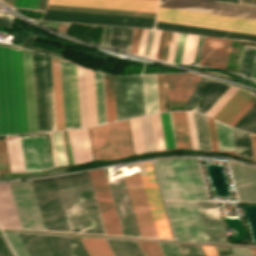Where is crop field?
<instances>
[{"instance_id": "obj_1", "label": "crop field", "mask_w": 256, "mask_h": 256, "mask_svg": "<svg viewBox=\"0 0 256 256\" xmlns=\"http://www.w3.org/2000/svg\"><path fill=\"white\" fill-rule=\"evenodd\" d=\"M27 133L20 50L0 45V135Z\"/></svg>"}, {"instance_id": "obj_2", "label": "crop field", "mask_w": 256, "mask_h": 256, "mask_svg": "<svg viewBox=\"0 0 256 256\" xmlns=\"http://www.w3.org/2000/svg\"><path fill=\"white\" fill-rule=\"evenodd\" d=\"M55 179L69 230L106 234L89 173L73 174Z\"/></svg>"}, {"instance_id": "obj_3", "label": "crop field", "mask_w": 256, "mask_h": 256, "mask_svg": "<svg viewBox=\"0 0 256 256\" xmlns=\"http://www.w3.org/2000/svg\"><path fill=\"white\" fill-rule=\"evenodd\" d=\"M135 216L142 236L158 237L138 175L125 178ZM124 180L109 182V188L123 235L141 236Z\"/></svg>"}, {"instance_id": "obj_4", "label": "crop field", "mask_w": 256, "mask_h": 256, "mask_svg": "<svg viewBox=\"0 0 256 256\" xmlns=\"http://www.w3.org/2000/svg\"><path fill=\"white\" fill-rule=\"evenodd\" d=\"M89 130L95 161L123 159L133 155L126 120Z\"/></svg>"}, {"instance_id": "obj_5", "label": "crop field", "mask_w": 256, "mask_h": 256, "mask_svg": "<svg viewBox=\"0 0 256 256\" xmlns=\"http://www.w3.org/2000/svg\"><path fill=\"white\" fill-rule=\"evenodd\" d=\"M156 20L256 34V20L159 7Z\"/></svg>"}, {"instance_id": "obj_6", "label": "crop field", "mask_w": 256, "mask_h": 256, "mask_svg": "<svg viewBox=\"0 0 256 256\" xmlns=\"http://www.w3.org/2000/svg\"><path fill=\"white\" fill-rule=\"evenodd\" d=\"M165 202L176 239L207 242L195 202Z\"/></svg>"}, {"instance_id": "obj_7", "label": "crop field", "mask_w": 256, "mask_h": 256, "mask_svg": "<svg viewBox=\"0 0 256 256\" xmlns=\"http://www.w3.org/2000/svg\"><path fill=\"white\" fill-rule=\"evenodd\" d=\"M113 81L117 121L145 114L142 76H113Z\"/></svg>"}, {"instance_id": "obj_8", "label": "crop field", "mask_w": 256, "mask_h": 256, "mask_svg": "<svg viewBox=\"0 0 256 256\" xmlns=\"http://www.w3.org/2000/svg\"><path fill=\"white\" fill-rule=\"evenodd\" d=\"M159 6L256 19V7L212 0H160Z\"/></svg>"}, {"instance_id": "obj_9", "label": "crop field", "mask_w": 256, "mask_h": 256, "mask_svg": "<svg viewBox=\"0 0 256 256\" xmlns=\"http://www.w3.org/2000/svg\"><path fill=\"white\" fill-rule=\"evenodd\" d=\"M22 228L44 230L30 181L9 183Z\"/></svg>"}, {"instance_id": "obj_10", "label": "crop field", "mask_w": 256, "mask_h": 256, "mask_svg": "<svg viewBox=\"0 0 256 256\" xmlns=\"http://www.w3.org/2000/svg\"><path fill=\"white\" fill-rule=\"evenodd\" d=\"M90 177L107 234L122 235L104 170L91 171Z\"/></svg>"}, {"instance_id": "obj_11", "label": "crop field", "mask_w": 256, "mask_h": 256, "mask_svg": "<svg viewBox=\"0 0 256 256\" xmlns=\"http://www.w3.org/2000/svg\"><path fill=\"white\" fill-rule=\"evenodd\" d=\"M38 132L50 131L44 55L33 53Z\"/></svg>"}, {"instance_id": "obj_12", "label": "crop field", "mask_w": 256, "mask_h": 256, "mask_svg": "<svg viewBox=\"0 0 256 256\" xmlns=\"http://www.w3.org/2000/svg\"><path fill=\"white\" fill-rule=\"evenodd\" d=\"M144 165L147 175L141 176V179L150 205L158 236L164 238H172L152 170L151 162H144Z\"/></svg>"}, {"instance_id": "obj_13", "label": "crop field", "mask_w": 256, "mask_h": 256, "mask_svg": "<svg viewBox=\"0 0 256 256\" xmlns=\"http://www.w3.org/2000/svg\"><path fill=\"white\" fill-rule=\"evenodd\" d=\"M73 128L87 127L83 68L68 63Z\"/></svg>"}, {"instance_id": "obj_14", "label": "crop field", "mask_w": 256, "mask_h": 256, "mask_svg": "<svg viewBox=\"0 0 256 256\" xmlns=\"http://www.w3.org/2000/svg\"><path fill=\"white\" fill-rule=\"evenodd\" d=\"M158 0H49L48 4L156 12Z\"/></svg>"}, {"instance_id": "obj_15", "label": "crop field", "mask_w": 256, "mask_h": 256, "mask_svg": "<svg viewBox=\"0 0 256 256\" xmlns=\"http://www.w3.org/2000/svg\"><path fill=\"white\" fill-rule=\"evenodd\" d=\"M229 163L239 202H256V167L233 161Z\"/></svg>"}, {"instance_id": "obj_16", "label": "crop field", "mask_w": 256, "mask_h": 256, "mask_svg": "<svg viewBox=\"0 0 256 256\" xmlns=\"http://www.w3.org/2000/svg\"><path fill=\"white\" fill-rule=\"evenodd\" d=\"M208 242L228 243L216 202H196Z\"/></svg>"}, {"instance_id": "obj_17", "label": "crop field", "mask_w": 256, "mask_h": 256, "mask_svg": "<svg viewBox=\"0 0 256 256\" xmlns=\"http://www.w3.org/2000/svg\"><path fill=\"white\" fill-rule=\"evenodd\" d=\"M28 133L37 132L31 52L21 50Z\"/></svg>"}, {"instance_id": "obj_18", "label": "crop field", "mask_w": 256, "mask_h": 256, "mask_svg": "<svg viewBox=\"0 0 256 256\" xmlns=\"http://www.w3.org/2000/svg\"><path fill=\"white\" fill-rule=\"evenodd\" d=\"M200 76L190 73L163 75L167 100L187 101Z\"/></svg>"}, {"instance_id": "obj_19", "label": "crop field", "mask_w": 256, "mask_h": 256, "mask_svg": "<svg viewBox=\"0 0 256 256\" xmlns=\"http://www.w3.org/2000/svg\"><path fill=\"white\" fill-rule=\"evenodd\" d=\"M156 151L176 149L170 112L150 115Z\"/></svg>"}, {"instance_id": "obj_20", "label": "crop field", "mask_w": 256, "mask_h": 256, "mask_svg": "<svg viewBox=\"0 0 256 256\" xmlns=\"http://www.w3.org/2000/svg\"><path fill=\"white\" fill-rule=\"evenodd\" d=\"M231 41L205 37L199 65L225 69Z\"/></svg>"}, {"instance_id": "obj_21", "label": "crop field", "mask_w": 256, "mask_h": 256, "mask_svg": "<svg viewBox=\"0 0 256 256\" xmlns=\"http://www.w3.org/2000/svg\"><path fill=\"white\" fill-rule=\"evenodd\" d=\"M155 28L173 30V31H179V32H186V33H193V34H200V35H207V36H214V37H221V38L234 39V40H241V41H248V42H255L256 43V35H250V34L229 32V31H222V30H215V29H208V28H201V27H194V26H187V25H180V24H173V23H166V22H159V21H156Z\"/></svg>"}, {"instance_id": "obj_22", "label": "crop field", "mask_w": 256, "mask_h": 256, "mask_svg": "<svg viewBox=\"0 0 256 256\" xmlns=\"http://www.w3.org/2000/svg\"><path fill=\"white\" fill-rule=\"evenodd\" d=\"M160 187L165 199L181 200L170 159L154 161Z\"/></svg>"}, {"instance_id": "obj_23", "label": "crop field", "mask_w": 256, "mask_h": 256, "mask_svg": "<svg viewBox=\"0 0 256 256\" xmlns=\"http://www.w3.org/2000/svg\"><path fill=\"white\" fill-rule=\"evenodd\" d=\"M0 226L21 228L8 183L0 184Z\"/></svg>"}, {"instance_id": "obj_24", "label": "crop field", "mask_w": 256, "mask_h": 256, "mask_svg": "<svg viewBox=\"0 0 256 256\" xmlns=\"http://www.w3.org/2000/svg\"><path fill=\"white\" fill-rule=\"evenodd\" d=\"M134 28L106 26L102 44L128 52Z\"/></svg>"}, {"instance_id": "obj_25", "label": "crop field", "mask_w": 256, "mask_h": 256, "mask_svg": "<svg viewBox=\"0 0 256 256\" xmlns=\"http://www.w3.org/2000/svg\"><path fill=\"white\" fill-rule=\"evenodd\" d=\"M252 96L250 93L238 89L213 118L227 124Z\"/></svg>"}, {"instance_id": "obj_26", "label": "crop field", "mask_w": 256, "mask_h": 256, "mask_svg": "<svg viewBox=\"0 0 256 256\" xmlns=\"http://www.w3.org/2000/svg\"><path fill=\"white\" fill-rule=\"evenodd\" d=\"M56 130L64 129L59 60L51 57Z\"/></svg>"}, {"instance_id": "obj_27", "label": "crop field", "mask_w": 256, "mask_h": 256, "mask_svg": "<svg viewBox=\"0 0 256 256\" xmlns=\"http://www.w3.org/2000/svg\"><path fill=\"white\" fill-rule=\"evenodd\" d=\"M182 200H195L183 158L171 159Z\"/></svg>"}, {"instance_id": "obj_28", "label": "crop field", "mask_w": 256, "mask_h": 256, "mask_svg": "<svg viewBox=\"0 0 256 256\" xmlns=\"http://www.w3.org/2000/svg\"><path fill=\"white\" fill-rule=\"evenodd\" d=\"M77 162L83 163L93 159L87 128L72 130Z\"/></svg>"}, {"instance_id": "obj_29", "label": "crop field", "mask_w": 256, "mask_h": 256, "mask_svg": "<svg viewBox=\"0 0 256 256\" xmlns=\"http://www.w3.org/2000/svg\"><path fill=\"white\" fill-rule=\"evenodd\" d=\"M177 148H191L185 112H171Z\"/></svg>"}, {"instance_id": "obj_30", "label": "crop field", "mask_w": 256, "mask_h": 256, "mask_svg": "<svg viewBox=\"0 0 256 256\" xmlns=\"http://www.w3.org/2000/svg\"><path fill=\"white\" fill-rule=\"evenodd\" d=\"M88 126L97 125L93 72L84 68Z\"/></svg>"}, {"instance_id": "obj_31", "label": "crop field", "mask_w": 256, "mask_h": 256, "mask_svg": "<svg viewBox=\"0 0 256 256\" xmlns=\"http://www.w3.org/2000/svg\"><path fill=\"white\" fill-rule=\"evenodd\" d=\"M146 114L159 111L156 75L143 76Z\"/></svg>"}, {"instance_id": "obj_32", "label": "crop field", "mask_w": 256, "mask_h": 256, "mask_svg": "<svg viewBox=\"0 0 256 256\" xmlns=\"http://www.w3.org/2000/svg\"><path fill=\"white\" fill-rule=\"evenodd\" d=\"M20 139L26 171L40 170L34 136L20 137Z\"/></svg>"}, {"instance_id": "obj_33", "label": "crop field", "mask_w": 256, "mask_h": 256, "mask_svg": "<svg viewBox=\"0 0 256 256\" xmlns=\"http://www.w3.org/2000/svg\"><path fill=\"white\" fill-rule=\"evenodd\" d=\"M65 129L72 128L67 62L60 60Z\"/></svg>"}, {"instance_id": "obj_34", "label": "crop field", "mask_w": 256, "mask_h": 256, "mask_svg": "<svg viewBox=\"0 0 256 256\" xmlns=\"http://www.w3.org/2000/svg\"><path fill=\"white\" fill-rule=\"evenodd\" d=\"M11 173L25 172L19 138L6 139Z\"/></svg>"}, {"instance_id": "obj_35", "label": "crop field", "mask_w": 256, "mask_h": 256, "mask_svg": "<svg viewBox=\"0 0 256 256\" xmlns=\"http://www.w3.org/2000/svg\"><path fill=\"white\" fill-rule=\"evenodd\" d=\"M115 256H143L136 241L106 239Z\"/></svg>"}, {"instance_id": "obj_36", "label": "crop field", "mask_w": 256, "mask_h": 256, "mask_svg": "<svg viewBox=\"0 0 256 256\" xmlns=\"http://www.w3.org/2000/svg\"><path fill=\"white\" fill-rule=\"evenodd\" d=\"M199 149L211 150L206 117L192 111Z\"/></svg>"}, {"instance_id": "obj_37", "label": "crop field", "mask_w": 256, "mask_h": 256, "mask_svg": "<svg viewBox=\"0 0 256 256\" xmlns=\"http://www.w3.org/2000/svg\"><path fill=\"white\" fill-rule=\"evenodd\" d=\"M196 200H207L194 158H184Z\"/></svg>"}, {"instance_id": "obj_38", "label": "crop field", "mask_w": 256, "mask_h": 256, "mask_svg": "<svg viewBox=\"0 0 256 256\" xmlns=\"http://www.w3.org/2000/svg\"><path fill=\"white\" fill-rule=\"evenodd\" d=\"M47 9L155 17L156 13L48 5Z\"/></svg>"}, {"instance_id": "obj_39", "label": "crop field", "mask_w": 256, "mask_h": 256, "mask_svg": "<svg viewBox=\"0 0 256 256\" xmlns=\"http://www.w3.org/2000/svg\"><path fill=\"white\" fill-rule=\"evenodd\" d=\"M54 166L67 164L62 131L49 133Z\"/></svg>"}, {"instance_id": "obj_40", "label": "crop field", "mask_w": 256, "mask_h": 256, "mask_svg": "<svg viewBox=\"0 0 256 256\" xmlns=\"http://www.w3.org/2000/svg\"><path fill=\"white\" fill-rule=\"evenodd\" d=\"M89 256H114L105 239L88 238L81 240Z\"/></svg>"}, {"instance_id": "obj_41", "label": "crop field", "mask_w": 256, "mask_h": 256, "mask_svg": "<svg viewBox=\"0 0 256 256\" xmlns=\"http://www.w3.org/2000/svg\"><path fill=\"white\" fill-rule=\"evenodd\" d=\"M107 122L116 121L112 76L103 74Z\"/></svg>"}, {"instance_id": "obj_42", "label": "crop field", "mask_w": 256, "mask_h": 256, "mask_svg": "<svg viewBox=\"0 0 256 256\" xmlns=\"http://www.w3.org/2000/svg\"><path fill=\"white\" fill-rule=\"evenodd\" d=\"M35 138H36L41 171L53 169L54 167H53L52 159L49 154L46 136L39 135V136H35Z\"/></svg>"}, {"instance_id": "obj_43", "label": "crop field", "mask_w": 256, "mask_h": 256, "mask_svg": "<svg viewBox=\"0 0 256 256\" xmlns=\"http://www.w3.org/2000/svg\"><path fill=\"white\" fill-rule=\"evenodd\" d=\"M220 150H235L230 127L215 120Z\"/></svg>"}, {"instance_id": "obj_44", "label": "crop field", "mask_w": 256, "mask_h": 256, "mask_svg": "<svg viewBox=\"0 0 256 256\" xmlns=\"http://www.w3.org/2000/svg\"><path fill=\"white\" fill-rule=\"evenodd\" d=\"M129 123H130L134 153L137 154V153L145 152L139 117L130 119Z\"/></svg>"}, {"instance_id": "obj_45", "label": "crop field", "mask_w": 256, "mask_h": 256, "mask_svg": "<svg viewBox=\"0 0 256 256\" xmlns=\"http://www.w3.org/2000/svg\"><path fill=\"white\" fill-rule=\"evenodd\" d=\"M214 80L201 77L184 109L191 108L213 84ZM215 83V82H214ZM210 89V88H209ZM205 95V94H204Z\"/></svg>"}, {"instance_id": "obj_46", "label": "crop field", "mask_w": 256, "mask_h": 256, "mask_svg": "<svg viewBox=\"0 0 256 256\" xmlns=\"http://www.w3.org/2000/svg\"><path fill=\"white\" fill-rule=\"evenodd\" d=\"M256 47L245 46L239 73L250 78Z\"/></svg>"}, {"instance_id": "obj_47", "label": "crop field", "mask_w": 256, "mask_h": 256, "mask_svg": "<svg viewBox=\"0 0 256 256\" xmlns=\"http://www.w3.org/2000/svg\"><path fill=\"white\" fill-rule=\"evenodd\" d=\"M98 125L105 123L101 75L94 72Z\"/></svg>"}, {"instance_id": "obj_48", "label": "crop field", "mask_w": 256, "mask_h": 256, "mask_svg": "<svg viewBox=\"0 0 256 256\" xmlns=\"http://www.w3.org/2000/svg\"><path fill=\"white\" fill-rule=\"evenodd\" d=\"M199 36L187 34L181 63L192 64Z\"/></svg>"}, {"instance_id": "obj_49", "label": "crop field", "mask_w": 256, "mask_h": 256, "mask_svg": "<svg viewBox=\"0 0 256 256\" xmlns=\"http://www.w3.org/2000/svg\"><path fill=\"white\" fill-rule=\"evenodd\" d=\"M51 131L55 130L50 57L45 55Z\"/></svg>"}, {"instance_id": "obj_50", "label": "crop field", "mask_w": 256, "mask_h": 256, "mask_svg": "<svg viewBox=\"0 0 256 256\" xmlns=\"http://www.w3.org/2000/svg\"><path fill=\"white\" fill-rule=\"evenodd\" d=\"M236 90H237V88H234V87L230 86L224 92V94L211 106V108L205 113V115H208V116L212 117L218 111V109L231 97V95Z\"/></svg>"}, {"instance_id": "obj_51", "label": "crop field", "mask_w": 256, "mask_h": 256, "mask_svg": "<svg viewBox=\"0 0 256 256\" xmlns=\"http://www.w3.org/2000/svg\"><path fill=\"white\" fill-rule=\"evenodd\" d=\"M17 256H29L25 246L23 245L17 233L6 234Z\"/></svg>"}, {"instance_id": "obj_52", "label": "crop field", "mask_w": 256, "mask_h": 256, "mask_svg": "<svg viewBox=\"0 0 256 256\" xmlns=\"http://www.w3.org/2000/svg\"><path fill=\"white\" fill-rule=\"evenodd\" d=\"M144 256H163L157 243L137 241Z\"/></svg>"}, {"instance_id": "obj_53", "label": "crop field", "mask_w": 256, "mask_h": 256, "mask_svg": "<svg viewBox=\"0 0 256 256\" xmlns=\"http://www.w3.org/2000/svg\"><path fill=\"white\" fill-rule=\"evenodd\" d=\"M164 256H183L176 244H161L158 243Z\"/></svg>"}, {"instance_id": "obj_54", "label": "crop field", "mask_w": 256, "mask_h": 256, "mask_svg": "<svg viewBox=\"0 0 256 256\" xmlns=\"http://www.w3.org/2000/svg\"><path fill=\"white\" fill-rule=\"evenodd\" d=\"M207 120H208L212 150H213V152H219L214 120L210 119L208 117H207Z\"/></svg>"}, {"instance_id": "obj_55", "label": "crop field", "mask_w": 256, "mask_h": 256, "mask_svg": "<svg viewBox=\"0 0 256 256\" xmlns=\"http://www.w3.org/2000/svg\"><path fill=\"white\" fill-rule=\"evenodd\" d=\"M256 101V98L253 96L247 104L234 116V118L228 123L230 126H234L236 122L244 115V113L253 105Z\"/></svg>"}, {"instance_id": "obj_56", "label": "crop field", "mask_w": 256, "mask_h": 256, "mask_svg": "<svg viewBox=\"0 0 256 256\" xmlns=\"http://www.w3.org/2000/svg\"><path fill=\"white\" fill-rule=\"evenodd\" d=\"M39 0H15L14 7L16 8H28L37 9Z\"/></svg>"}, {"instance_id": "obj_57", "label": "crop field", "mask_w": 256, "mask_h": 256, "mask_svg": "<svg viewBox=\"0 0 256 256\" xmlns=\"http://www.w3.org/2000/svg\"><path fill=\"white\" fill-rule=\"evenodd\" d=\"M0 256H15L4 235H0Z\"/></svg>"}, {"instance_id": "obj_58", "label": "crop field", "mask_w": 256, "mask_h": 256, "mask_svg": "<svg viewBox=\"0 0 256 256\" xmlns=\"http://www.w3.org/2000/svg\"><path fill=\"white\" fill-rule=\"evenodd\" d=\"M186 114H187V120H188V125H189L192 148H193V150L198 151L196 137H195V131H194V125H193V119H192V113H191V111H188V112H186Z\"/></svg>"}, {"instance_id": "obj_59", "label": "crop field", "mask_w": 256, "mask_h": 256, "mask_svg": "<svg viewBox=\"0 0 256 256\" xmlns=\"http://www.w3.org/2000/svg\"><path fill=\"white\" fill-rule=\"evenodd\" d=\"M186 34L180 33L173 62L180 63Z\"/></svg>"}, {"instance_id": "obj_60", "label": "crop field", "mask_w": 256, "mask_h": 256, "mask_svg": "<svg viewBox=\"0 0 256 256\" xmlns=\"http://www.w3.org/2000/svg\"><path fill=\"white\" fill-rule=\"evenodd\" d=\"M171 34H172V32H169V31H166V33H165V37H164V41H163V45H162V49H161V53H160V57H159L160 60L165 61V59H166Z\"/></svg>"}, {"instance_id": "obj_61", "label": "crop field", "mask_w": 256, "mask_h": 256, "mask_svg": "<svg viewBox=\"0 0 256 256\" xmlns=\"http://www.w3.org/2000/svg\"><path fill=\"white\" fill-rule=\"evenodd\" d=\"M179 33L173 32L166 61L172 62Z\"/></svg>"}, {"instance_id": "obj_62", "label": "crop field", "mask_w": 256, "mask_h": 256, "mask_svg": "<svg viewBox=\"0 0 256 256\" xmlns=\"http://www.w3.org/2000/svg\"><path fill=\"white\" fill-rule=\"evenodd\" d=\"M141 31L142 29L135 28L129 52L136 54Z\"/></svg>"}, {"instance_id": "obj_63", "label": "crop field", "mask_w": 256, "mask_h": 256, "mask_svg": "<svg viewBox=\"0 0 256 256\" xmlns=\"http://www.w3.org/2000/svg\"><path fill=\"white\" fill-rule=\"evenodd\" d=\"M161 31L155 30L149 57L155 58Z\"/></svg>"}, {"instance_id": "obj_64", "label": "crop field", "mask_w": 256, "mask_h": 256, "mask_svg": "<svg viewBox=\"0 0 256 256\" xmlns=\"http://www.w3.org/2000/svg\"><path fill=\"white\" fill-rule=\"evenodd\" d=\"M219 256H234L230 247L214 246Z\"/></svg>"}, {"instance_id": "obj_65", "label": "crop field", "mask_w": 256, "mask_h": 256, "mask_svg": "<svg viewBox=\"0 0 256 256\" xmlns=\"http://www.w3.org/2000/svg\"><path fill=\"white\" fill-rule=\"evenodd\" d=\"M148 29H143L137 54L143 55Z\"/></svg>"}, {"instance_id": "obj_66", "label": "crop field", "mask_w": 256, "mask_h": 256, "mask_svg": "<svg viewBox=\"0 0 256 256\" xmlns=\"http://www.w3.org/2000/svg\"><path fill=\"white\" fill-rule=\"evenodd\" d=\"M235 256H252L249 249L231 247Z\"/></svg>"}, {"instance_id": "obj_67", "label": "crop field", "mask_w": 256, "mask_h": 256, "mask_svg": "<svg viewBox=\"0 0 256 256\" xmlns=\"http://www.w3.org/2000/svg\"><path fill=\"white\" fill-rule=\"evenodd\" d=\"M67 133H68V139H69V145H70L72 163H73V165H77V164H76V160H75V153H74V147H73V140H72V133H71V130L67 131Z\"/></svg>"}, {"instance_id": "obj_68", "label": "crop field", "mask_w": 256, "mask_h": 256, "mask_svg": "<svg viewBox=\"0 0 256 256\" xmlns=\"http://www.w3.org/2000/svg\"><path fill=\"white\" fill-rule=\"evenodd\" d=\"M13 18L14 17L10 16L9 14H6L4 19L0 18V26L9 28Z\"/></svg>"}, {"instance_id": "obj_69", "label": "crop field", "mask_w": 256, "mask_h": 256, "mask_svg": "<svg viewBox=\"0 0 256 256\" xmlns=\"http://www.w3.org/2000/svg\"><path fill=\"white\" fill-rule=\"evenodd\" d=\"M204 253L206 256H218L213 248V246H206V245H201Z\"/></svg>"}, {"instance_id": "obj_70", "label": "crop field", "mask_w": 256, "mask_h": 256, "mask_svg": "<svg viewBox=\"0 0 256 256\" xmlns=\"http://www.w3.org/2000/svg\"><path fill=\"white\" fill-rule=\"evenodd\" d=\"M152 32H153V30H150V29H149V31H148V37H147V42H146V47H145V53H144L145 56H147V53H148V49H149V45H150V40H151Z\"/></svg>"}, {"instance_id": "obj_71", "label": "crop field", "mask_w": 256, "mask_h": 256, "mask_svg": "<svg viewBox=\"0 0 256 256\" xmlns=\"http://www.w3.org/2000/svg\"><path fill=\"white\" fill-rule=\"evenodd\" d=\"M251 79L256 81V58H255V63H254Z\"/></svg>"}, {"instance_id": "obj_72", "label": "crop field", "mask_w": 256, "mask_h": 256, "mask_svg": "<svg viewBox=\"0 0 256 256\" xmlns=\"http://www.w3.org/2000/svg\"><path fill=\"white\" fill-rule=\"evenodd\" d=\"M241 3L254 5L253 0H241Z\"/></svg>"}, {"instance_id": "obj_73", "label": "crop field", "mask_w": 256, "mask_h": 256, "mask_svg": "<svg viewBox=\"0 0 256 256\" xmlns=\"http://www.w3.org/2000/svg\"><path fill=\"white\" fill-rule=\"evenodd\" d=\"M2 1H4L6 4H8L11 7L13 6L14 0H2Z\"/></svg>"}, {"instance_id": "obj_74", "label": "crop field", "mask_w": 256, "mask_h": 256, "mask_svg": "<svg viewBox=\"0 0 256 256\" xmlns=\"http://www.w3.org/2000/svg\"><path fill=\"white\" fill-rule=\"evenodd\" d=\"M253 256H256V249H250Z\"/></svg>"}, {"instance_id": "obj_75", "label": "crop field", "mask_w": 256, "mask_h": 256, "mask_svg": "<svg viewBox=\"0 0 256 256\" xmlns=\"http://www.w3.org/2000/svg\"><path fill=\"white\" fill-rule=\"evenodd\" d=\"M222 1H229V2H236V3H239V0H222Z\"/></svg>"}]
</instances>
